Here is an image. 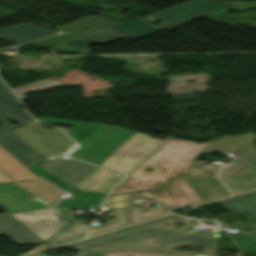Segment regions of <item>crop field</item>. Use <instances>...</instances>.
<instances>
[{
  "mask_svg": "<svg viewBox=\"0 0 256 256\" xmlns=\"http://www.w3.org/2000/svg\"><path fill=\"white\" fill-rule=\"evenodd\" d=\"M0 235H7L19 245L42 242L9 214H0Z\"/></svg>",
  "mask_w": 256,
  "mask_h": 256,
  "instance_id": "obj_17",
  "label": "crop field"
},
{
  "mask_svg": "<svg viewBox=\"0 0 256 256\" xmlns=\"http://www.w3.org/2000/svg\"><path fill=\"white\" fill-rule=\"evenodd\" d=\"M220 166L214 167L205 164L204 161L194 160L188 174L193 175H216L217 170Z\"/></svg>",
  "mask_w": 256,
  "mask_h": 256,
  "instance_id": "obj_27",
  "label": "crop field"
},
{
  "mask_svg": "<svg viewBox=\"0 0 256 256\" xmlns=\"http://www.w3.org/2000/svg\"><path fill=\"white\" fill-rule=\"evenodd\" d=\"M111 216L115 217V220H113L112 223H110V221H105V226L103 227L87 226L88 236L128 225V208L114 210L112 211Z\"/></svg>",
  "mask_w": 256,
  "mask_h": 256,
  "instance_id": "obj_22",
  "label": "crop field"
},
{
  "mask_svg": "<svg viewBox=\"0 0 256 256\" xmlns=\"http://www.w3.org/2000/svg\"><path fill=\"white\" fill-rule=\"evenodd\" d=\"M18 104L15 97L0 82V145L28 167L40 162L33 156L36 152L10 132L14 128L7 121L13 118L21 125L31 121L23 110L16 108Z\"/></svg>",
  "mask_w": 256,
  "mask_h": 256,
  "instance_id": "obj_6",
  "label": "crop field"
},
{
  "mask_svg": "<svg viewBox=\"0 0 256 256\" xmlns=\"http://www.w3.org/2000/svg\"><path fill=\"white\" fill-rule=\"evenodd\" d=\"M14 131L47 160L67 153L75 142L58 129L45 130L35 121Z\"/></svg>",
  "mask_w": 256,
  "mask_h": 256,
  "instance_id": "obj_8",
  "label": "crop field"
},
{
  "mask_svg": "<svg viewBox=\"0 0 256 256\" xmlns=\"http://www.w3.org/2000/svg\"><path fill=\"white\" fill-rule=\"evenodd\" d=\"M123 178L124 175L122 173L98 167L75 188L107 194Z\"/></svg>",
  "mask_w": 256,
  "mask_h": 256,
  "instance_id": "obj_14",
  "label": "crop field"
},
{
  "mask_svg": "<svg viewBox=\"0 0 256 256\" xmlns=\"http://www.w3.org/2000/svg\"><path fill=\"white\" fill-rule=\"evenodd\" d=\"M130 193L107 196L104 204L113 207L114 209L128 207L129 205Z\"/></svg>",
  "mask_w": 256,
  "mask_h": 256,
  "instance_id": "obj_29",
  "label": "crop field"
},
{
  "mask_svg": "<svg viewBox=\"0 0 256 256\" xmlns=\"http://www.w3.org/2000/svg\"><path fill=\"white\" fill-rule=\"evenodd\" d=\"M94 31H96V30H93V31H90V32L79 30V31H76V32H73V33H70V34H67V35H56V36H53V37H50V38H47V39H44V40H40V41H37V42L52 46V45H55V44H59V43H62V42H65V41H68V40H71V39H74V38H77V37H80V36H83V35H86V34H89V33H92Z\"/></svg>",
  "mask_w": 256,
  "mask_h": 256,
  "instance_id": "obj_28",
  "label": "crop field"
},
{
  "mask_svg": "<svg viewBox=\"0 0 256 256\" xmlns=\"http://www.w3.org/2000/svg\"><path fill=\"white\" fill-rule=\"evenodd\" d=\"M64 194L42 179L0 184V204L9 213L52 207Z\"/></svg>",
  "mask_w": 256,
  "mask_h": 256,
  "instance_id": "obj_5",
  "label": "crop field"
},
{
  "mask_svg": "<svg viewBox=\"0 0 256 256\" xmlns=\"http://www.w3.org/2000/svg\"><path fill=\"white\" fill-rule=\"evenodd\" d=\"M48 247H49V246H47L46 244H42V245H40V246H38V247L32 249V250L29 251V252L36 251V250H40V249H44V248H48ZM26 253H28V252H26Z\"/></svg>",
  "mask_w": 256,
  "mask_h": 256,
  "instance_id": "obj_34",
  "label": "crop field"
},
{
  "mask_svg": "<svg viewBox=\"0 0 256 256\" xmlns=\"http://www.w3.org/2000/svg\"><path fill=\"white\" fill-rule=\"evenodd\" d=\"M220 178L234 194L256 188V172L232 176H220Z\"/></svg>",
  "mask_w": 256,
  "mask_h": 256,
  "instance_id": "obj_18",
  "label": "crop field"
},
{
  "mask_svg": "<svg viewBox=\"0 0 256 256\" xmlns=\"http://www.w3.org/2000/svg\"><path fill=\"white\" fill-rule=\"evenodd\" d=\"M105 256H201V255H178V254L107 251Z\"/></svg>",
  "mask_w": 256,
  "mask_h": 256,
  "instance_id": "obj_30",
  "label": "crop field"
},
{
  "mask_svg": "<svg viewBox=\"0 0 256 256\" xmlns=\"http://www.w3.org/2000/svg\"><path fill=\"white\" fill-rule=\"evenodd\" d=\"M219 202L233 212H249L256 217V191Z\"/></svg>",
  "mask_w": 256,
  "mask_h": 256,
  "instance_id": "obj_19",
  "label": "crop field"
},
{
  "mask_svg": "<svg viewBox=\"0 0 256 256\" xmlns=\"http://www.w3.org/2000/svg\"><path fill=\"white\" fill-rule=\"evenodd\" d=\"M62 157L63 156L46 161L40 166L74 187L97 168V166Z\"/></svg>",
  "mask_w": 256,
  "mask_h": 256,
  "instance_id": "obj_12",
  "label": "crop field"
},
{
  "mask_svg": "<svg viewBox=\"0 0 256 256\" xmlns=\"http://www.w3.org/2000/svg\"><path fill=\"white\" fill-rule=\"evenodd\" d=\"M242 140V143H237ZM255 132L234 137H222L215 140L203 152L234 153L235 162L232 165L222 167L219 175H231L256 171Z\"/></svg>",
  "mask_w": 256,
  "mask_h": 256,
  "instance_id": "obj_7",
  "label": "crop field"
},
{
  "mask_svg": "<svg viewBox=\"0 0 256 256\" xmlns=\"http://www.w3.org/2000/svg\"><path fill=\"white\" fill-rule=\"evenodd\" d=\"M256 8V2H224V1H193L175 8L153 14L156 18H164L167 23L156 28L149 23V19H139L110 29L98 31L62 44L91 51L88 45L97 42L105 44L120 38L132 40L160 32L178 25L191 22L200 15L212 16L227 14L228 9ZM93 52V51H91Z\"/></svg>",
  "mask_w": 256,
  "mask_h": 256,
  "instance_id": "obj_2",
  "label": "crop field"
},
{
  "mask_svg": "<svg viewBox=\"0 0 256 256\" xmlns=\"http://www.w3.org/2000/svg\"><path fill=\"white\" fill-rule=\"evenodd\" d=\"M57 85H60V84L58 82H56L55 80H52V81L42 80V81H38V82L28 84L25 86L13 88V90L17 94V96L21 100H23V98L21 96V94H23V93L35 91V90L46 89V88L54 87Z\"/></svg>",
  "mask_w": 256,
  "mask_h": 256,
  "instance_id": "obj_26",
  "label": "crop field"
},
{
  "mask_svg": "<svg viewBox=\"0 0 256 256\" xmlns=\"http://www.w3.org/2000/svg\"><path fill=\"white\" fill-rule=\"evenodd\" d=\"M106 251L80 250L76 256H104ZM25 256H47L41 252L29 254Z\"/></svg>",
  "mask_w": 256,
  "mask_h": 256,
  "instance_id": "obj_31",
  "label": "crop field"
},
{
  "mask_svg": "<svg viewBox=\"0 0 256 256\" xmlns=\"http://www.w3.org/2000/svg\"><path fill=\"white\" fill-rule=\"evenodd\" d=\"M33 43H36V42H33ZM36 44H39V43H36ZM39 45H42V44H39ZM43 46H45V45H43ZM46 47H48V46H46Z\"/></svg>",
  "mask_w": 256,
  "mask_h": 256,
  "instance_id": "obj_35",
  "label": "crop field"
},
{
  "mask_svg": "<svg viewBox=\"0 0 256 256\" xmlns=\"http://www.w3.org/2000/svg\"><path fill=\"white\" fill-rule=\"evenodd\" d=\"M38 178L0 146V183Z\"/></svg>",
  "mask_w": 256,
  "mask_h": 256,
  "instance_id": "obj_15",
  "label": "crop field"
},
{
  "mask_svg": "<svg viewBox=\"0 0 256 256\" xmlns=\"http://www.w3.org/2000/svg\"><path fill=\"white\" fill-rule=\"evenodd\" d=\"M53 47L65 49V50L72 51V52L79 53V54H89V53H91V52L83 51V50L76 49V48L69 47V46L62 45V44H59V45H56V46H53Z\"/></svg>",
  "mask_w": 256,
  "mask_h": 256,
  "instance_id": "obj_32",
  "label": "crop field"
},
{
  "mask_svg": "<svg viewBox=\"0 0 256 256\" xmlns=\"http://www.w3.org/2000/svg\"><path fill=\"white\" fill-rule=\"evenodd\" d=\"M186 221L184 217L170 215L66 246L78 249L187 253L173 252V248L197 245L204 246L206 250L204 254L215 255L218 249L216 244L218 238L213 237L214 233L181 232L166 227L169 224H185ZM154 240H160V243H151Z\"/></svg>",
  "mask_w": 256,
  "mask_h": 256,
  "instance_id": "obj_1",
  "label": "crop field"
},
{
  "mask_svg": "<svg viewBox=\"0 0 256 256\" xmlns=\"http://www.w3.org/2000/svg\"><path fill=\"white\" fill-rule=\"evenodd\" d=\"M168 208L169 207L164 205H160L152 208H145V207H142L141 205L134 206L131 209V224L165 215L167 213L162 212V210H165Z\"/></svg>",
  "mask_w": 256,
  "mask_h": 256,
  "instance_id": "obj_23",
  "label": "crop field"
},
{
  "mask_svg": "<svg viewBox=\"0 0 256 256\" xmlns=\"http://www.w3.org/2000/svg\"><path fill=\"white\" fill-rule=\"evenodd\" d=\"M28 169H30L31 171L35 172L36 175L38 177H42L43 179L47 180L48 182L52 183L53 185H55L56 187L60 188L63 191H66L70 194L73 195V197H75V195L79 192L73 188H71L70 186L66 185L65 183H63L62 181L58 180L57 178H55L54 176H52L51 174H49L48 172L44 171L43 169L37 167V165L28 167ZM72 197V198H73ZM70 199V198H68ZM65 200L61 201L60 203H58L56 205V207H58L61 203H63Z\"/></svg>",
  "mask_w": 256,
  "mask_h": 256,
  "instance_id": "obj_25",
  "label": "crop field"
},
{
  "mask_svg": "<svg viewBox=\"0 0 256 256\" xmlns=\"http://www.w3.org/2000/svg\"><path fill=\"white\" fill-rule=\"evenodd\" d=\"M11 216L43 241L69 223L59 209L13 214Z\"/></svg>",
  "mask_w": 256,
  "mask_h": 256,
  "instance_id": "obj_10",
  "label": "crop field"
},
{
  "mask_svg": "<svg viewBox=\"0 0 256 256\" xmlns=\"http://www.w3.org/2000/svg\"><path fill=\"white\" fill-rule=\"evenodd\" d=\"M131 196L149 197L154 201L172 207H180L190 203H203L182 176L160 190L131 193Z\"/></svg>",
  "mask_w": 256,
  "mask_h": 256,
  "instance_id": "obj_11",
  "label": "crop field"
},
{
  "mask_svg": "<svg viewBox=\"0 0 256 256\" xmlns=\"http://www.w3.org/2000/svg\"><path fill=\"white\" fill-rule=\"evenodd\" d=\"M213 141L195 144L190 141L169 139L110 194L158 189L171 179L186 174L193 159ZM146 166L153 168L155 172L142 171Z\"/></svg>",
  "mask_w": 256,
  "mask_h": 256,
  "instance_id": "obj_3",
  "label": "crop field"
},
{
  "mask_svg": "<svg viewBox=\"0 0 256 256\" xmlns=\"http://www.w3.org/2000/svg\"><path fill=\"white\" fill-rule=\"evenodd\" d=\"M104 197L105 195L102 194L80 192V194L75 199L67 201L60 207L82 210H89L91 207L98 208Z\"/></svg>",
  "mask_w": 256,
  "mask_h": 256,
  "instance_id": "obj_20",
  "label": "crop field"
},
{
  "mask_svg": "<svg viewBox=\"0 0 256 256\" xmlns=\"http://www.w3.org/2000/svg\"><path fill=\"white\" fill-rule=\"evenodd\" d=\"M55 33L56 31L41 28L33 24H20L18 27L0 29V38L20 44Z\"/></svg>",
  "mask_w": 256,
  "mask_h": 256,
  "instance_id": "obj_16",
  "label": "crop field"
},
{
  "mask_svg": "<svg viewBox=\"0 0 256 256\" xmlns=\"http://www.w3.org/2000/svg\"><path fill=\"white\" fill-rule=\"evenodd\" d=\"M204 203L230 196L216 176H183Z\"/></svg>",
  "mask_w": 256,
  "mask_h": 256,
  "instance_id": "obj_13",
  "label": "crop field"
},
{
  "mask_svg": "<svg viewBox=\"0 0 256 256\" xmlns=\"http://www.w3.org/2000/svg\"><path fill=\"white\" fill-rule=\"evenodd\" d=\"M42 123H58L73 126L72 130L64 129L79 144L70 156L100 165L116 149L126 142L135 131L106 124L88 123L67 119L41 117Z\"/></svg>",
  "mask_w": 256,
  "mask_h": 256,
  "instance_id": "obj_4",
  "label": "crop field"
},
{
  "mask_svg": "<svg viewBox=\"0 0 256 256\" xmlns=\"http://www.w3.org/2000/svg\"><path fill=\"white\" fill-rule=\"evenodd\" d=\"M72 221V224L66 229L62 230L54 238L61 244L71 242L80 238H84L83 223L84 221ZM78 224L79 226H76Z\"/></svg>",
  "mask_w": 256,
  "mask_h": 256,
  "instance_id": "obj_24",
  "label": "crop field"
},
{
  "mask_svg": "<svg viewBox=\"0 0 256 256\" xmlns=\"http://www.w3.org/2000/svg\"><path fill=\"white\" fill-rule=\"evenodd\" d=\"M120 24V22L113 21L107 17H99V16H90L88 18L82 19L80 21L71 23L69 25L63 26L60 29L66 32L77 30L84 26H89L98 30L104 29L106 27Z\"/></svg>",
  "mask_w": 256,
  "mask_h": 256,
  "instance_id": "obj_21",
  "label": "crop field"
},
{
  "mask_svg": "<svg viewBox=\"0 0 256 256\" xmlns=\"http://www.w3.org/2000/svg\"><path fill=\"white\" fill-rule=\"evenodd\" d=\"M47 245H49L50 247L52 246H56V245H60V243H58L56 240H54L53 238L50 239L49 241L45 242Z\"/></svg>",
  "mask_w": 256,
  "mask_h": 256,
  "instance_id": "obj_33",
  "label": "crop field"
},
{
  "mask_svg": "<svg viewBox=\"0 0 256 256\" xmlns=\"http://www.w3.org/2000/svg\"><path fill=\"white\" fill-rule=\"evenodd\" d=\"M162 142L163 140L136 132L101 165L129 173Z\"/></svg>",
  "mask_w": 256,
  "mask_h": 256,
  "instance_id": "obj_9",
  "label": "crop field"
}]
</instances>
